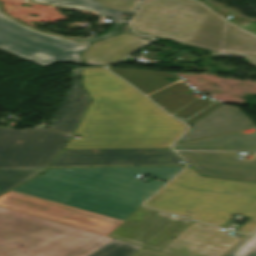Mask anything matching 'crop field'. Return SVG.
Segmentation results:
<instances>
[{"label": "crop field", "mask_w": 256, "mask_h": 256, "mask_svg": "<svg viewBox=\"0 0 256 256\" xmlns=\"http://www.w3.org/2000/svg\"><path fill=\"white\" fill-rule=\"evenodd\" d=\"M93 98L64 149L169 147L186 126L104 68L83 69Z\"/></svg>", "instance_id": "8a807250"}, {"label": "crop field", "mask_w": 256, "mask_h": 256, "mask_svg": "<svg viewBox=\"0 0 256 256\" xmlns=\"http://www.w3.org/2000/svg\"><path fill=\"white\" fill-rule=\"evenodd\" d=\"M185 166L57 168L12 190L123 221L165 182L134 179L149 174L168 181Z\"/></svg>", "instance_id": "ac0d7876"}, {"label": "crop field", "mask_w": 256, "mask_h": 256, "mask_svg": "<svg viewBox=\"0 0 256 256\" xmlns=\"http://www.w3.org/2000/svg\"><path fill=\"white\" fill-rule=\"evenodd\" d=\"M196 1L145 0L132 25L136 32L200 49L256 54L255 34Z\"/></svg>", "instance_id": "34b2d1b8"}, {"label": "crop field", "mask_w": 256, "mask_h": 256, "mask_svg": "<svg viewBox=\"0 0 256 256\" xmlns=\"http://www.w3.org/2000/svg\"><path fill=\"white\" fill-rule=\"evenodd\" d=\"M145 205L218 226L235 213L256 221V184L201 177L189 166Z\"/></svg>", "instance_id": "412701ff"}, {"label": "crop field", "mask_w": 256, "mask_h": 256, "mask_svg": "<svg viewBox=\"0 0 256 256\" xmlns=\"http://www.w3.org/2000/svg\"><path fill=\"white\" fill-rule=\"evenodd\" d=\"M110 240L0 207V256H86Z\"/></svg>", "instance_id": "f4fd0767"}, {"label": "crop field", "mask_w": 256, "mask_h": 256, "mask_svg": "<svg viewBox=\"0 0 256 256\" xmlns=\"http://www.w3.org/2000/svg\"><path fill=\"white\" fill-rule=\"evenodd\" d=\"M74 1L104 7L95 0ZM80 45L83 44L31 30L0 12V49L41 66L56 63L58 52Z\"/></svg>", "instance_id": "dd49c442"}, {"label": "crop field", "mask_w": 256, "mask_h": 256, "mask_svg": "<svg viewBox=\"0 0 256 256\" xmlns=\"http://www.w3.org/2000/svg\"><path fill=\"white\" fill-rule=\"evenodd\" d=\"M68 138V135L41 128L0 127V161L15 162L13 168L49 165Z\"/></svg>", "instance_id": "e52e79f7"}, {"label": "crop field", "mask_w": 256, "mask_h": 256, "mask_svg": "<svg viewBox=\"0 0 256 256\" xmlns=\"http://www.w3.org/2000/svg\"><path fill=\"white\" fill-rule=\"evenodd\" d=\"M0 206L107 236L122 222L28 195L8 192Z\"/></svg>", "instance_id": "d8731c3e"}, {"label": "crop field", "mask_w": 256, "mask_h": 256, "mask_svg": "<svg viewBox=\"0 0 256 256\" xmlns=\"http://www.w3.org/2000/svg\"><path fill=\"white\" fill-rule=\"evenodd\" d=\"M192 222L140 207L108 236L160 250Z\"/></svg>", "instance_id": "5a996713"}, {"label": "crop field", "mask_w": 256, "mask_h": 256, "mask_svg": "<svg viewBox=\"0 0 256 256\" xmlns=\"http://www.w3.org/2000/svg\"><path fill=\"white\" fill-rule=\"evenodd\" d=\"M171 148L62 150L51 166L179 164Z\"/></svg>", "instance_id": "3316defc"}, {"label": "crop field", "mask_w": 256, "mask_h": 256, "mask_svg": "<svg viewBox=\"0 0 256 256\" xmlns=\"http://www.w3.org/2000/svg\"><path fill=\"white\" fill-rule=\"evenodd\" d=\"M228 232L194 222L160 251L178 256H222L245 236L238 239L226 235Z\"/></svg>", "instance_id": "28ad6ade"}, {"label": "crop field", "mask_w": 256, "mask_h": 256, "mask_svg": "<svg viewBox=\"0 0 256 256\" xmlns=\"http://www.w3.org/2000/svg\"><path fill=\"white\" fill-rule=\"evenodd\" d=\"M254 126L237 108L222 104L195 122L179 141H187Z\"/></svg>", "instance_id": "d1516ede"}, {"label": "crop field", "mask_w": 256, "mask_h": 256, "mask_svg": "<svg viewBox=\"0 0 256 256\" xmlns=\"http://www.w3.org/2000/svg\"><path fill=\"white\" fill-rule=\"evenodd\" d=\"M151 41L131 34H121L117 37L93 43L91 49L83 56L88 65L106 66L120 62L132 50Z\"/></svg>", "instance_id": "22f410ed"}, {"label": "crop field", "mask_w": 256, "mask_h": 256, "mask_svg": "<svg viewBox=\"0 0 256 256\" xmlns=\"http://www.w3.org/2000/svg\"><path fill=\"white\" fill-rule=\"evenodd\" d=\"M109 70L127 80L146 95L191 91L182 81L169 83L164 80V77H176L175 73L111 67Z\"/></svg>", "instance_id": "cbeb9de0"}, {"label": "crop field", "mask_w": 256, "mask_h": 256, "mask_svg": "<svg viewBox=\"0 0 256 256\" xmlns=\"http://www.w3.org/2000/svg\"><path fill=\"white\" fill-rule=\"evenodd\" d=\"M80 70L71 71L73 83L64 98L49 128L72 133L90 98L82 91L79 82Z\"/></svg>", "instance_id": "5142ce71"}, {"label": "crop field", "mask_w": 256, "mask_h": 256, "mask_svg": "<svg viewBox=\"0 0 256 256\" xmlns=\"http://www.w3.org/2000/svg\"><path fill=\"white\" fill-rule=\"evenodd\" d=\"M186 160L193 164L227 167L256 171L255 160H239L238 153L224 152H195V151H178Z\"/></svg>", "instance_id": "d9b57169"}, {"label": "crop field", "mask_w": 256, "mask_h": 256, "mask_svg": "<svg viewBox=\"0 0 256 256\" xmlns=\"http://www.w3.org/2000/svg\"><path fill=\"white\" fill-rule=\"evenodd\" d=\"M173 147H256V134L241 132L182 143Z\"/></svg>", "instance_id": "733c2abd"}, {"label": "crop field", "mask_w": 256, "mask_h": 256, "mask_svg": "<svg viewBox=\"0 0 256 256\" xmlns=\"http://www.w3.org/2000/svg\"><path fill=\"white\" fill-rule=\"evenodd\" d=\"M45 168L0 169V194L40 174Z\"/></svg>", "instance_id": "4a817a6b"}, {"label": "crop field", "mask_w": 256, "mask_h": 256, "mask_svg": "<svg viewBox=\"0 0 256 256\" xmlns=\"http://www.w3.org/2000/svg\"><path fill=\"white\" fill-rule=\"evenodd\" d=\"M220 104L215 101L197 99L173 116L191 125Z\"/></svg>", "instance_id": "bc2a9ffb"}, {"label": "crop field", "mask_w": 256, "mask_h": 256, "mask_svg": "<svg viewBox=\"0 0 256 256\" xmlns=\"http://www.w3.org/2000/svg\"><path fill=\"white\" fill-rule=\"evenodd\" d=\"M199 173L206 176H214L228 179H236L243 181L256 182V172L227 169V168H218V167H209V166H200L192 165Z\"/></svg>", "instance_id": "214f88e0"}, {"label": "crop field", "mask_w": 256, "mask_h": 256, "mask_svg": "<svg viewBox=\"0 0 256 256\" xmlns=\"http://www.w3.org/2000/svg\"><path fill=\"white\" fill-rule=\"evenodd\" d=\"M29 1L51 4V5H57V6H63V7L84 9V10H88V11H91V12H95V13L110 17V18L114 19L115 21L123 20L120 17L121 14L132 15V13H130V12L105 9V8L92 6V5H87V4L78 3V2L69 1V0H29Z\"/></svg>", "instance_id": "92a150f3"}, {"label": "crop field", "mask_w": 256, "mask_h": 256, "mask_svg": "<svg viewBox=\"0 0 256 256\" xmlns=\"http://www.w3.org/2000/svg\"><path fill=\"white\" fill-rule=\"evenodd\" d=\"M149 97L154 100L158 105H160L164 110H166L169 114L176 112L180 108L184 107L185 105L196 99L189 96L187 93L151 95Z\"/></svg>", "instance_id": "dafd665d"}, {"label": "crop field", "mask_w": 256, "mask_h": 256, "mask_svg": "<svg viewBox=\"0 0 256 256\" xmlns=\"http://www.w3.org/2000/svg\"><path fill=\"white\" fill-rule=\"evenodd\" d=\"M141 248L142 247L114 239L88 256H130Z\"/></svg>", "instance_id": "00972430"}, {"label": "crop field", "mask_w": 256, "mask_h": 256, "mask_svg": "<svg viewBox=\"0 0 256 256\" xmlns=\"http://www.w3.org/2000/svg\"><path fill=\"white\" fill-rule=\"evenodd\" d=\"M226 256H256V230Z\"/></svg>", "instance_id": "a9b5d70f"}, {"label": "crop field", "mask_w": 256, "mask_h": 256, "mask_svg": "<svg viewBox=\"0 0 256 256\" xmlns=\"http://www.w3.org/2000/svg\"><path fill=\"white\" fill-rule=\"evenodd\" d=\"M107 8L134 12L139 0H96Z\"/></svg>", "instance_id": "4177f3b9"}, {"label": "crop field", "mask_w": 256, "mask_h": 256, "mask_svg": "<svg viewBox=\"0 0 256 256\" xmlns=\"http://www.w3.org/2000/svg\"><path fill=\"white\" fill-rule=\"evenodd\" d=\"M89 46L88 44L59 53L58 62L81 64L82 58L80 52L88 49Z\"/></svg>", "instance_id": "730fd06b"}, {"label": "crop field", "mask_w": 256, "mask_h": 256, "mask_svg": "<svg viewBox=\"0 0 256 256\" xmlns=\"http://www.w3.org/2000/svg\"><path fill=\"white\" fill-rule=\"evenodd\" d=\"M124 23L125 22L116 23L115 26L112 28V30L109 33L104 34V35H100V36H97V37H94V38H90V39H87V40H83L80 43L87 44V43H90V42H93V41H96V40H99V39H102V38H106V37L115 35L119 32V29L123 26Z\"/></svg>", "instance_id": "eef30255"}, {"label": "crop field", "mask_w": 256, "mask_h": 256, "mask_svg": "<svg viewBox=\"0 0 256 256\" xmlns=\"http://www.w3.org/2000/svg\"><path fill=\"white\" fill-rule=\"evenodd\" d=\"M211 55L245 57L246 62L256 66V55H243V54H230V53H217V52H211Z\"/></svg>", "instance_id": "ae1a2a85"}, {"label": "crop field", "mask_w": 256, "mask_h": 256, "mask_svg": "<svg viewBox=\"0 0 256 256\" xmlns=\"http://www.w3.org/2000/svg\"><path fill=\"white\" fill-rule=\"evenodd\" d=\"M175 149L227 150V151H256V148H175Z\"/></svg>", "instance_id": "d3111659"}, {"label": "crop field", "mask_w": 256, "mask_h": 256, "mask_svg": "<svg viewBox=\"0 0 256 256\" xmlns=\"http://www.w3.org/2000/svg\"><path fill=\"white\" fill-rule=\"evenodd\" d=\"M133 256H169V255H165V254H161V253H157V252H153V251H149V250H141L140 252L136 253Z\"/></svg>", "instance_id": "750c4746"}, {"label": "crop field", "mask_w": 256, "mask_h": 256, "mask_svg": "<svg viewBox=\"0 0 256 256\" xmlns=\"http://www.w3.org/2000/svg\"><path fill=\"white\" fill-rule=\"evenodd\" d=\"M256 227V222L248 221L243 227H241L238 231L243 233H249L252 229Z\"/></svg>", "instance_id": "bd1437ed"}, {"label": "crop field", "mask_w": 256, "mask_h": 256, "mask_svg": "<svg viewBox=\"0 0 256 256\" xmlns=\"http://www.w3.org/2000/svg\"><path fill=\"white\" fill-rule=\"evenodd\" d=\"M13 163L0 162V168H11Z\"/></svg>", "instance_id": "1d83c4d3"}]
</instances>
